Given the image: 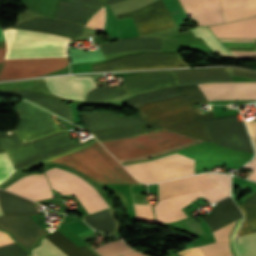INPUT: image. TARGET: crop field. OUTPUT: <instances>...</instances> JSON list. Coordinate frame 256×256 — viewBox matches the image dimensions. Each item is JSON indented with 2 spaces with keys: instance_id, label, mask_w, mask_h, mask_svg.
Instances as JSON below:
<instances>
[{
  "instance_id": "16",
  "label": "crop field",
  "mask_w": 256,
  "mask_h": 256,
  "mask_svg": "<svg viewBox=\"0 0 256 256\" xmlns=\"http://www.w3.org/2000/svg\"><path fill=\"white\" fill-rule=\"evenodd\" d=\"M176 84L175 75L168 70L129 75L122 82L123 88L129 94Z\"/></svg>"
},
{
  "instance_id": "1",
  "label": "crop field",
  "mask_w": 256,
  "mask_h": 256,
  "mask_svg": "<svg viewBox=\"0 0 256 256\" xmlns=\"http://www.w3.org/2000/svg\"><path fill=\"white\" fill-rule=\"evenodd\" d=\"M16 111L20 124L14 133L22 144L66 130L57 127L49 117L51 113L27 101L17 103ZM14 133L12 130L0 131V140L15 170L35 167L95 141L93 139L86 143H74L68 133H65L22 147ZM47 162H58L74 168L99 184L138 183L97 141Z\"/></svg>"
},
{
  "instance_id": "14",
  "label": "crop field",
  "mask_w": 256,
  "mask_h": 256,
  "mask_svg": "<svg viewBox=\"0 0 256 256\" xmlns=\"http://www.w3.org/2000/svg\"><path fill=\"white\" fill-rule=\"evenodd\" d=\"M103 6L104 3L99 0H70L69 2L59 0L53 17L84 26Z\"/></svg>"
},
{
  "instance_id": "15",
  "label": "crop field",
  "mask_w": 256,
  "mask_h": 256,
  "mask_svg": "<svg viewBox=\"0 0 256 256\" xmlns=\"http://www.w3.org/2000/svg\"><path fill=\"white\" fill-rule=\"evenodd\" d=\"M47 87L53 93L69 99H84L85 94L95 88L96 84L90 76H59L44 78ZM51 92V93H52Z\"/></svg>"
},
{
  "instance_id": "31",
  "label": "crop field",
  "mask_w": 256,
  "mask_h": 256,
  "mask_svg": "<svg viewBox=\"0 0 256 256\" xmlns=\"http://www.w3.org/2000/svg\"><path fill=\"white\" fill-rule=\"evenodd\" d=\"M0 153H5L0 143ZM14 169L6 154H0V183L10 176Z\"/></svg>"
},
{
  "instance_id": "8",
  "label": "crop field",
  "mask_w": 256,
  "mask_h": 256,
  "mask_svg": "<svg viewBox=\"0 0 256 256\" xmlns=\"http://www.w3.org/2000/svg\"><path fill=\"white\" fill-rule=\"evenodd\" d=\"M194 168V160L179 155L159 163L129 167L127 169L138 180L145 183H155L194 174Z\"/></svg>"
},
{
  "instance_id": "2",
  "label": "crop field",
  "mask_w": 256,
  "mask_h": 256,
  "mask_svg": "<svg viewBox=\"0 0 256 256\" xmlns=\"http://www.w3.org/2000/svg\"><path fill=\"white\" fill-rule=\"evenodd\" d=\"M86 130L90 131L99 141L129 137L145 133V129L151 128L153 131L164 130L138 117H127L111 114L108 112H83L80 113ZM192 137L182 135L169 130L146 133L130 138L110 140L101 142L117 160L147 155L167 148L194 141ZM204 141H194L171 149L147 156L120 160L121 163L137 160L150 159L163 155L187 146H191Z\"/></svg>"
},
{
  "instance_id": "12",
  "label": "crop field",
  "mask_w": 256,
  "mask_h": 256,
  "mask_svg": "<svg viewBox=\"0 0 256 256\" xmlns=\"http://www.w3.org/2000/svg\"><path fill=\"white\" fill-rule=\"evenodd\" d=\"M0 227L12 233L16 241L26 250L45 234L29 216H1Z\"/></svg>"
},
{
  "instance_id": "36",
  "label": "crop field",
  "mask_w": 256,
  "mask_h": 256,
  "mask_svg": "<svg viewBox=\"0 0 256 256\" xmlns=\"http://www.w3.org/2000/svg\"><path fill=\"white\" fill-rule=\"evenodd\" d=\"M180 256H205L199 246L178 252Z\"/></svg>"
},
{
  "instance_id": "40",
  "label": "crop field",
  "mask_w": 256,
  "mask_h": 256,
  "mask_svg": "<svg viewBox=\"0 0 256 256\" xmlns=\"http://www.w3.org/2000/svg\"><path fill=\"white\" fill-rule=\"evenodd\" d=\"M244 167L250 168V169H256V159L252 160V163H247ZM250 179L256 180V171H253L252 175L250 176Z\"/></svg>"
},
{
  "instance_id": "19",
  "label": "crop field",
  "mask_w": 256,
  "mask_h": 256,
  "mask_svg": "<svg viewBox=\"0 0 256 256\" xmlns=\"http://www.w3.org/2000/svg\"><path fill=\"white\" fill-rule=\"evenodd\" d=\"M5 190L34 201L53 197L45 174L22 177Z\"/></svg>"
},
{
  "instance_id": "11",
  "label": "crop field",
  "mask_w": 256,
  "mask_h": 256,
  "mask_svg": "<svg viewBox=\"0 0 256 256\" xmlns=\"http://www.w3.org/2000/svg\"><path fill=\"white\" fill-rule=\"evenodd\" d=\"M178 78L179 86L206 82H233L231 75L256 81V72L236 68L179 69L171 70Z\"/></svg>"
},
{
  "instance_id": "42",
  "label": "crop field",
  "mask_w": 256,
  "mask_h": 256,
  "mask_svg": "<svg viewBox=\"0 0 256 256\" xmlns=\"http://www.w3.org/2000/svg\"><path fill=\"white\" fill-rule=\"evenodd\" d=\"M118 1H122V0H109V1H107L105 3L110 4V3H114V2H118Z\"/></svg>"
},
{
  "instance_id": "39",
  "label": "crop field",
  "mask_w": 256,
  "mask_h": 256,
  "mask_svg": "<svg viewBox=\"0 0 256 256\" xmlns=\"http://www.w3.org/2000/svg\"><path fill=\"white\" fill-rule=\"evenodd\" d=\"M10 242L14 241L9 237V235L6 232L0 231V245L7 244Z\"/></svg>"
},
{
  "instance_id": "29",
  "label": "crop field",
  "mask_w": 256,
  "mask_h": 256,
  "mask_svg": "<svg viewBox=\"0 0 256 256\" xmlns=\"http://www.w3.org/2000/svg\"><path fill=\"white\" fill-rule=\"evenodd\" d=\"M125 93L126 92L121 85L112 87V88H96L87 93L85 100L86 101L101 100V99L116 97Z\"/></svg>"
},
{
  "instance_id": "22",
  "label": "crop field",
  "mask_w": 256,
  "mask_h": 256,
  "mask_svg": "<svg viewBox=\"0 0 256 256\" xmlns=\"http://www.w3.org/2000/svg\"><path fill=\"white\" fill-rule=\"evenodd\" d=\"M9 193V192H8ZM0 190V207L2 214H21L30 215L37 214V208L33 202L24 200L15 195L8 194ZM0 210V215L1 214Z\"/></svg>"
},
{
  "instance_id": "13",
  "label": "crop field",
  "mask_w": 256,
  "mask_h": 256,
  "mask_svg": "<svg viewBox=\"0 0 256 256\" xmlns=\"http://www.w3.org/2000/svg\"><path fill=\"white\" fill-rule=\"evenodd\" d=\"M198 86L208 100L256 99V82L207 83Z\"/></svg>"
},
{
  "instance_id": "34",
  "label": "crop field",
  "mask_w": 256,
  "mask_h": 256,
  "mask_svg": "<svg viewBox=\"0 0 256 256\" xmlns=\"http://www.w3.org/2000/svg\"><path fill=\"white\" fill-rule=\"evenodd\" d=\"M214 182L229 193L230 175L207 174Z\"/></svg>"
},
{
  "instance_id": "3",
  "label": "crop field",
  "mask_w": 256,
  "mask_h": 256,
  "mask_svg": "<svg viewBox=\"0 0 256 256\" xmlns=\"http://www.w3.org/2000/svg\"><path fill=\"white\" fill-rule=\"evenodd\" d=\"M4 36L7 47L5 59L67 56L66 44L73 40L58 35L13 29L4 30ZM67 65V57L4 60L0 80L36 77Z\"/></svg>"
},
{
  "instance_id": "21",
  "label": "crop field",
  "mask_w": 256,
  "mask_h": 256,
  "mask_svg": "<svg viewBox=\"0 0 256 256\" xmlns=\"http://www.w3.org/2000/svg\"><path fill=\"white\" fill-rule=\"evenodd\" d=\"M224 22L256 15V0H221Z\"/></svg>"
},
{
  "instance_id": "33",
  "label": "crop field",
  "mask_w": 256,
  "mask_h": 256,
  "mask_svg": "<svg viewBox=\"0 0 256 256\" xmlns=\"http://www.w3.org/2000/svg\"><path fill=\"white\" fill-rule=\"evenodd\" d=\"M28 255L16 243L0 247V256H25Z\"/></svg>"
},
{
  "instance_id": "32",
  "label": "crop field",
  "mask_w": 256,
  "mask_h": 256,
  "mask_svg": "<svg viewBox=\"0 0 256 256\" xmlns=\"http://www.w3.org/2000/svg\"><path fill=\"white\" fill-rule=\"evenodd\" d=\"M105 19L104 7L99 10L92 18L87 22L86 26L103 31Z\"/></svg>"
},
{
  "instance_id": "25",
  "label": "crop field",
  "mask_w": 256,
  "mask_h": 256,
  "mask_svg": "<svg viewBox=\"0 0 256 256\" xmlns=\"http://www.w3.org/2000/svg\"><path fill=\"white\" fill-rule=\"evenodd\" d=\"M88 224L97 230L111 234L115 225L107 210L84 217Z\"/></svg>"
},
{
  "instance_id": "17",
  "label": "crop field",
  "mask_w": 256,
  "mask_h": 256,
  "mask_svg": "<svg viewBox=\"0 0 256 256\" xmlns=\"http://www.w3.org/2000/svg\"><path fill=\"white\" fill-rule=\"evenodd\" d=\"M45 238L58 247L67 256H95L85 246L81 248L78 247L58 231ZM45 238L41 240V245L32 250V256H66Z\"/></svg>"
},
{
  "instance_id": "9",
  "label": "crop field",
  "mask_w": 256,
  "mask_h": 256,
  "mask_svg": "<svg viewBox=\"0 0 256 256\" xmlns=\"http://www.w3.org/2000/svg\"><path fill=\"white\" fill-rule=\"evenodd\" d=\"M198 193L202 197L210 201L211 203H214L229 195L219 186H214L212 188L204 189V190L198 191ZM198 193L197 192L188 193V194L172 196L163 200H159L154 207L155 214L157 215V214L165 213L168 211L180 209L181 207L188 204L189 202L201 197ZM156 217L158 222L168 223V222H173L179 219H183L186 217V215L184 214L182 209H180V210L172 211L169 213L157 215Z\"/></svg>"
},
{
  "instance_id": "27",
  "label": "crop field",
  "mask_w": 256,
  "mask_h": 256,
  "mask_svg": "<svg viewBox=\"0 0 256 256\" xmlns=\"http://www.w3.org/2000/svg\"><path fill=\"white\" fill-rule=\"evenodd\" d=\"M191 31L195 36L202 37L206 44L216 53L234 56L211 34L207 27L195 26L191 28Z\"/></svg>"
},
{
  "instance_id": "23",
  "label": "crop field",
  "mask_w": 256,
  "mask_h": 256,
  "mask_svg": "<svg viewBox=\"0 0 256 256\" xmlns=\"http://www.w3.org/2000/svg\"><path fill=\"white\" fill-rule=\"evenodd\" d=\"M18 96L29 98V99L45 106L46 108L72 120V114H71L69 104L62 103L60 100H58L56 98L36 94V93H33L28 90L20 91Z\"/></svg>"
},
{
  "instance_id": "37",
  "label": "crop field",
  "mask_w": 256,
  "mask_h": 256,
  "mask_svg": "<svg viewBox=\"0 0 256 256\" xmlns=\"http://www.w3.org/2000/svg\"><path fill=\"white\" fill-rule=\"evenodd\" d=\"M0 40H4L1 27H0ZM5 52H6L5 43H4V41H0V63L3 62V59L5 57ZM1 66H2V64H0V68H1Z\"/></svg>"
},
{
  "instance_id": "20",
  "label": "crop field",
  "mask_w": 256,
  "mask_h": 256,
  "mask_svg": "<svg viewBox=\"0 0 256 256\" xmlns=\"http://www.w3.org/2000/svg\"><path fill=\"white\" fill-rule=\"evenodd\" d=\"M209 28L216 37L256 38V17Z\"/></svg>"
},
{
  "instance_id": "7",
  "label": "crop field",
  "mask_w": 256,
  "mask_h": 256,
  "mask_svg": "<svg viewBox=\"0 0 256 256\" xmlns=\"http://www.w3.org/2000/svg\"><path fill=\"white\" fill-rule=\"evenodd\" d=\"M190 66L180 53H141L93 65V72Z\"/></svg>"
},
{
  "instance_id": "38",
  "label": "crop field",
  "mask_w": 256,
  "mask_h": 256,
  "mask_svg": "<svg viewBox=\"0 0 256 256\" xmlns=\"http://www.w3.org/2000/svg\"><path fill=\"white\" fill-rule=\"evenodd\" d=\"M236 57L256 58V52L230 51Z\"/></svg>"
},
{
  "instance_id": "10",
  "label": "crop field",
  "mask_w": 256,
  "mask_h": 256,
  "mask_svg": "<svg viewBox=\"0 0 256 256\" xmlns=\"http://www.w3.org/2000/svg\"><path fill=\"white\" fill-rule=\"evenodd\" d=\"M129 17H133L140 35L176 26L162 0L156 1L142 9L116 16L117 19Z\"/></svg>"
},
{
  "instance_id": "24",
  "label": "crop field",
  "mask_w": 256,
  "mask_h": 256,
  "mask_svg": "<svg viewBox=\"0 0 256 256\" xmlns=\"http://www.w3.org/2000/svg\"><path fill=\"white\" fill-rule=\"evenodd\" d=\"M179 94L180 93L178 92V90L175 87H173L169 89L153 91L151 93L140 94L125 102L127 103L128 106L136 109L144 103L164 99V98L179 95Z\"/></svg>"
},
{
  "instance_id": "26",
  "label": "crop field",
  "mask_w": 256,
  "mask_h": 256,
  "mask_svg": "<svg viewBox=\"0 0 256 256\" xmlns=\"http://www.w3.org/2000/svg\"><path fill=\"white\" fill-rule=\"evenodd\" d=\"M245 219L237 233L238 236L256 232V205H238Z\"/></svg>"
},
{
  "instance_id": "41",
  "label": "crop field",
  "mask_w": 256,
  "mask_h": 256,
  "mask_svg": "<svg viewBox=\"0 0 256 256\" xmlns=\"http://www.w3.org/2000/svg\"><path fill=\"white\" fill-rule=\"evenodd\" d=\"M123 256H146V255L135 252V253H131V254L123 255Z\"/></svg>"
},
{
  "instance_id": "4",
  "label": "crop field",
  "mask_w": 256,
  "mask_h": 256,
  "mask_svg": "<svg viewBox=\"0 0 256 256\" xmlns=\"http://www.w3.org/2000/svg\"><path fill=\"white\" fill-rule=\"evenodd\" d=\"M176 88L183 95L148 103L136 110L139 117L157 126L211 142L202 119L214 117L213 112L198 117L195 107H192L208 102L205 96L197 85Z\"/></svg>"
},
{
  "instance_id": "30",
  "label": "crop field",
  "mask_w": 256,
  "mask_h": 256,
  "mask_svg": "<svg viewBox=\"0 0 256 256\" xmlns=\"http://www.w3.org/2000/svg\"><path fill=\"white\" fill-rule=\"evenodd\" d=\"M237 252L240 256H256V233L237 237Z\"/></svg>"
},
{
  "instance_id": "35",
  "label": "crop field",
  "mask_w": 256,
  "mask_h": 256,
  "mask_svg": "<svg viewBox=\"0 0 256 256\" xmlns=\"http://www.w3.org/2000/svg\"><path fill=\"white\" fill-rule=\"evenodd\" d=\"M234 187H245L256 191V183L241 178L233 177L232 193H234Z\"/></svg>"
},
{
  "instance_id": "6",
  "label": "crop field",
  "mask_w": 256,
  "mask_h": 256,
  "mask_svg": "<svg viewBox=\"0 0 256 256\" xmlns=\"http://www.w3.org/2000/svg\"><path fill=\"white\" fill-rule=\"evenodd\" d=\"M45 173L52 188L62 194H74L89 213L109 208L98 192L77 175L57 168Z\"/></svg>"
},
{
  "instance_id": "28",
  "label": "crop field",
  "mask_w": 256,
  "mask_h": 256,
  "mask_svg": "<svg viewBox=\"0 0 256 256\" xmlns=\"http://www.w3.org/2000/svg\"><path fill=\"white\" fill-rule=\"evenodd\" d=\"M94 250L97 251L101 256H119L134 251L120 240L104 244Z\"/></svg>"
},
{
  "instance_id": "5",
  "label": "crop field",
  "mask_w": 256,
  "mask_h": 256,
  "mask_svg": "<svg viewBox=\"0 0 256 256\" xmlns=\"http://www.w3.org/2000/svg\"><path fill=\"white\" fill-rule=\"evenodd\" d=\"M234 208H236L235 203L233 202L231 197H228V198L216 203L214 212L211 214L210 217H208L204 220L207 222V221H209L227 211H230ZM241 217H242V214L239 211V209L237 208V209L227 212V213H225L207 223L210 226L211 231H214V230H216L226 224H229ZM241 221H242V218L213 232L212 234H213L215 240L219 241V240L234 238V235H235ZM201 248L206 256H238L235 251V248H234V239L202 245Z\"/></svg>"
},
{
  "instance_id": "18",
  "label": "crop field",
  "mask_w": 256,
  "mask_h": 256,
  "mask_svg": "<svg viewBox=\"0 0 256 256\" xmlns=\"http://www.w3.org/2000/svg\"><path fill=\"white\" fill-rule=\"evenodd\" d=\"M190 18L197 20V25L209 26L222 23L220 0H180Z\"/></svg>"
}]
</instances>
